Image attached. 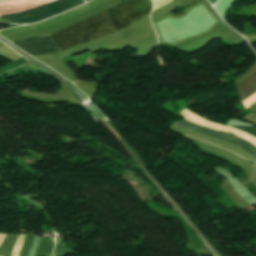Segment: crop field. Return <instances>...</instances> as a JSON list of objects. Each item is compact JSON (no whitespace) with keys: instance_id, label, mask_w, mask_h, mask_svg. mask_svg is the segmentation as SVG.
<instances>
[{"instance_id":"1","label":"crop field","mask_w":256,"mask_h":256,"mask_svg":"<svg viewBox=\"0 0 256 256\" xmlns=\"http://www.w3.org/2000/svg\"><path fill=\"white\" fill-rule=\"evenodd\" d=\"M151 7L150 0H126L49 36L62 51L122 29L148 14ZM50 38L44 35L12 43L30 55L59 52Z\"/></svg>"},{"instance_id":"5","label":"crop field","mask_w":256,"mask_h":256,"mask_svg":"<svg viewBox=\"0 0 256 256\" xmlns=\"http://www.w3.org/2000/svg\"><path fill=\"white\" fill-rule=\"evenodd\" d=\"M233 127H236V128H239L241 130H244L254 136H256V126L254 127H247V126H233Z\"/></svg>"},{"instance_id":"6","label":"crop field","mask_w":256,"mask_h":256,"mask_svg":"<svg viewBox=\"0 0 256 256\" xmlns=\"http://www.w3.org/2000/svg\"><path fill=\"white\" fill-rule=\"evenodd\" d=\"M256 104V103H255Z\"/></svg>"},{"instance_id":"3","label":"crop field","mask_w":256,"mask_h":256,"mask_svg":"<svg viewBox=\"0 0 256 256\" xmlns=\"http://www.w3.org/2000/svg\"><path fill=\"white\" fill-rule=\"evenodd\" d=\"M172 124L177 125V126L182 127V128L198 131V132L203 133L207 136H211V137H215V138H218V139H222V140H225V141L232 142V143L242 147L243 149L249 151L250 153H252L256 156V147L253 146L252 144L248 143L247 141L239 138V137H235V136L228 135V134H225V133H221V132H218V131L210 130V129L192 124L190 122H185L183 120L174 122Z\"/></svg>"},{"instance_id":"4","label":"crop field","mask_w":256,"mask_h":256,"mask_svg":"<svg viewBox=\"0 0 256 256\" xmlns=\"http://www.w3.org/2000/svg\"><path fill=\"white\" fill-rule=\"evenodd\" d=\"M146 204L150 209H152L154 212L161 216H171L178 218L187 232L188 247L199 254L210 255V253L203 246L199 238L192 232V230L186 225V223L179 217V215L176 212L160 208L154 205L151 201L147 202Z\"/></svg>"},{"instance_id":"2","label":"crop field","mask_w":256,"mask_h":256,"mask_svg":"<svg viewBox=\"0 0 256 256\" xmlns=\"http://www.w3.org/2000/svg\"><path fill=\"white\" fill-rule=\"evenodd\" d=\"M82 3L84 0H57L24 12L1 15L0 18L18 23H33L72 9Z\"/></svg>"}]
</instances>
